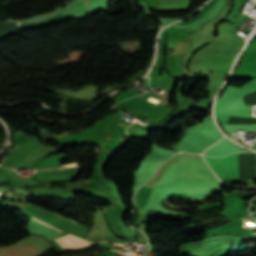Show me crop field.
Returning <instances> with one entry per match:
<instances>
[{"label": "crop field", "instance_id": "crop-field-4", "mask_svg": "<svg viewBox=\"0 0 256 256\" xmlns=\"http://www.w3.org/2000/svg\"><path fill=\"white\" fill-rule=\"evenodd\" d=\"M68 236L70 237H73V238H76L86 244H90L84 240H81L80 238L76 237V236H73L71 234H68ZM68 236H64L62 238H59V239H56L57 243L61 246L62 249H66V248H81L83 246H86L85 244H83L82 242L76 240V239H73V238H70Z\"/></svg>", "mask_w": 256, "mask_h": 256}, {"label": "crop field", "instance_id": "crop-field-2", "mask_svg": "<svg viewBox=\"0 0 256 256\" xmlns=\"http://www.w3.org/2000/svg\"><path fill=\"white\" fill-rule=\"evenodd\" d=\"M90 1L91 0H78L77 2V8L78 11L85 16L86 18L91 16L93 13V10L90 6ZM64 16L59 13L56 16H53L47 20L41 21V22H34V23H28V24H20L18 30H23V29H29V28H35V27H41V26H46V25H52L56 24L62 20H64ZM17 30V31H18Z\"/></svg>", "mask_w": 256, "mask_h": 256}, {"label": "crop field", "instance_id": "crop-field-3", "mask_svg": "<svg viewBox=\"0 0 256 256\" xmlns=\"http://www.w3.org/2000/svg\"><path fill=\"white\" fill-rule=\"evenodd\" d=\"M80 167L57 169V171L45 172L46 178H58V181H65L64 177H76ZM50 171V170H41Z\"/></svg>", "mask_w": 256, "mask_h": 256}, {"label": "crop field", "instance_id": "crop-field-6", "mask_svg": "<svg viewBox=\"0 0 256 256\" xmlns=\"http://www.w3.org/2000/svg\"><path fill=\"white\" fill-rule=\"evenodd\" d=\"M118 125L126 126L125 124H121V123H119Z\"/></svg>", "mask_w": 256, "mask_h": 256}, {"label": "crop field", "instance_id": "crop-field-5", "mask_svg": "<svg viewBox=\"0 0 256 256\" xmlns=\"http://www.w3.org/2000/svg\"><path fill=\"white\" fill-rule=\"evenodd\" d=\"M33 220L38 221V222H40V223H43V222H41V221H39V220H37V219H35V218H33ZM43 224H45V223H43ZM45 225H47V224H45ZM47 226H49V225H47ZM49 227H51V226H49ZM51 228H53V227H51ZM53 229H55V228H53ZM55 230H57V229H55ZM57 231H59V230H57ZM59 232H61V231H59Z\"/></svg>", "mask_w": 256, "mask_h": 256}, {"label": "crop field", "instance_id": "crop-field-1", "mask_svg": "<svg viewBox=\"0 0 256 256\" xmlns=\"http://www.w3.org/2000/svg\"><path fill=\"white\" fill-rule=\"evenodd\" d=\"M239 154H255V153H237L230 154L225 157L213 158L205 157L206 161L219 175L222 182H247L252 180L238 181Z\"/></svg>", "mask_w": 256, "mask_h": 256}]
</instances>
